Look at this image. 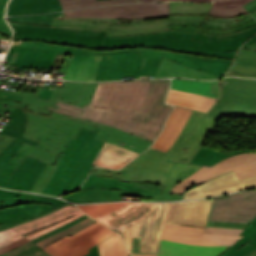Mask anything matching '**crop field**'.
<instances>
[{
	"mask_svg": "<svg viewBox=\"0 0 256 256\" xmlns=\"http://www.w3.org/2000/svg\"><path fill=\"white\" fill-rule=\"evenodd\" d=\"M169 85V79L98 82L90 105L81 108L57 101L45 110L113 126L153 142L173 107L164 104Z\"/></svg>",
	"mask_w": 256,
	"mask_h": 256,
	"instance_id": "crop-field-1",
	"label": "crop field"
},
{
	"mask_svg": "<svg viewBox=\"0 0 256 256\" xmlns=\"http://www.w3.org/2000/svg\"><path fill=\"white\" fill-rule=\"evenodd\" d=\"M57 54L103 55L95 81L155 78L163 57L179 62L189 68L223 77V73L233 61L148 48L101 52L38 41H13L5 62L18 65L20 69H23V67L51 68Z\"/></svg>",
	"mask_w": 256,
	"mask_h": 256,
	"instance_id": "crop-field-2",
	"label": "crop field"
},
{
	"mask_svg": "<svg viewBox=\"0 0 256 256\" xmlns=\"http://www.w3.org/2000/svg\"><path fill=\"white\" fill-rule=\"evenodd\" d=\"M212 199L176 203L129 202L118 210L96 217L98 221L124 233L138 222L140 252L157 253L163 223L205 228Z\"/></svg>",
	"mask_w": 256,
	"mask_h": 256,
	"instance_id": "crop-field-3",
	"label": "crop field"
},
{
	"mask_svg": "<svg viewBox=\"0 0 256 256\" xmlns=\"http://www.w3.org/2000/svg\"><path fill=\"white\" fill-rule=\"evenodd\" d=\"M18 106L25 113L28 124L24 137L39 141V146L26 144L11 159L3 182L5 187L9 177L17 167L30 155L46 163H56L61 152H63L70 138H75L80 127L99 132V127H94L72 121V117L52 112L49 117L24 110V104L12 102L7 105L0 103L3 111L11 113Z\"/></svg>",
	"mask_w": 256,
	"mask_h": 256,
	"instance_id": "crop-field-4",
	"label": "crop field"
},
{
	"mask_svg": "<svg viewBox=\"0 0 256 256\" xmlns=\"http://www.w3.org/2000/svg\"><path fill=\"white\" fill-rule=\"evenodd\" d=\"M97 132L80 129L75 140L70 139L55 173L42 191L43 194L61 196L80 188L94 167L92 162L104 141L94 139Z\"/></svg>",
	"mask_w": 256,
	"mask_h": 256,
	"instance_id": "crop-field-5",
	"label": "crop field"
},
{
	"mask_svg": "<svg viewBox=\"0 0 256 256\" xmlns=\"http://www.w3.org/2000/svg\"><path fill=\"white\" fill-rule=\"evenodd\" d=\"M192 34L167 30V33H154L134 36H105L101 51L149 47L153 49L177 51L205 57H223L233 59L237 51L204 52L198 50L201 42L191 40Z\"/></svg>",
	"mask_w": 256,
	"mask_h": 256,
	"instance_id": "crop-field-6",
	"label": "crop field"
},
{
	"mask_svg": "<svg viewBox=\"0 0 256 256\" xmlns=\"http://www.w3.org/2000/svg\"><path fill=\"white\" fill-rule=\"evenodd\" d=\"M57 198L0 190V223L12 227L51 213L65 205Z\"/></svg>",
	"mask_w": 256,
	"mask_h": 256,
	"instance_id": "crop-field-7",
	"label": "crop field"
},
{
	"mask_svg": "<svg viewBox=\"0 0 256 256\" xmlns=\"http://www.w3.org/2000/svg\"><path fill=\"white\" fill-rule=\"evenodd\" d=\"M221 97L207 116L223 115L256 118V80L225 78L219 81Z\"/></svg>",
	"mask_w": 256,
	"mask_h": 256,
	"instance_id": "crop-field-8",
	"label": "crop field"
},
{
	"mask_svg": "<svg viewBox=\"0 0 256 256\" xmlns=\"http://www.w3.org/2000/svg\"><path fill=\"white\" fill-rule=\"evenodd\" d=\"M168 20L143 22L133 19L123 23L119 19L99 18H54L52 27L107 30L105 35H134L153 32H166Z\"/></svg>",
	"mask_w": 256,
	"mask_h": 256,
	"instance_id": "crop-field-9",
	"label": "crop field"
},
{
	"mask_svg": "<svg viewBox=\"0 0 256 256\" xmlns=\"http://www.w3.org/2000/svg\"><path fill=\"white\" fill-rule=\"evenodd\" d=\"M84 215L77 207L67 205L51 214L0 231V246L15 242L23 237L29 241Z\"/></svg>",
	"mask_w": 256,
	"mask_h": 256,
	"instance_id": "crop-field-10",
	"label": "crop field"
},
{
	"mask_svg": "<svg viewBox=\"0 0 256 256\" xmlns=\"http://www.w3.org/2000/svg\"><path fill=\"white\" fill-rule=\"evenodd\" d=\"M193 111L187 124L168 153L173 154L169 161L189 163L201 147L208 132L218 120Z\"/></svg>",
	"mask_w": 256,
	"mask_h": 256,
	"instance_id": "crop-field-11",
	"label": "crop field"
},
{
	"mask_svg": "<svg viewBox=\"0 0 256 256\" xmlns=\"http://www.w3.org/2000/svg\"><path fill=\"white\" fill-rule=\"evenodd\" d=\"M234 170L238 178L256 175V153H246L230 157L212 167L203 166L197 172L176 185L171 192H185L215 177Z\"/></svg>",
	"mask_w": 256,
	"mask_h": 256,
	"instance_id": "crop-field-12",
	"label": "crop field"
},
{
	"mask_svg": "<svg viewBox=\"0 0 256 256\" xmlns=\"http://www.w3.org/2000/svg\"><path fill=\"white\" fill-rule=\"evenodd\" d=\"M256 217V189L215 199L208 220L250 223Z\"/></svg>",
	"mask_w": 256,
	"mask_h": 256,
	"instance_id": "crop-field-13",
	"label": "crop field"
},
{
	"mask_svg": "<svg viewBox=\"0 0 256 256\" xmlns=\"http://www.w3.org/2000/svg\"><path fill=\"white\" fill-rule=\"evenodd\" d=\"M97 222L42 250L51 256H83L89 253L90 248L115 233Z\"/></svg>",
	"mask_w": 256,
	"mask_h": 256,
	"instance_id": "crop-field-14",
	"label": "crop field"
},
{
	"mask_svg": "<svg viewBox=\"0 0 256 256\" xmlns=\"http://www.w3.org/2000/svg\"><path fill=\"white\" fill-rule=\"evenodd\" d=\"M66 17L150 18L169 14V2L155 4L112 5L64 12Z\"/></svg>",
	"mask_w": 256,
	"mask_h": 256,
	"instance_id": "crop-field-15",
	"label": "crop field"
},
{
	"mask_svg": "<svg viewBox=\"0 0 256 256\" xmlns=\"http://www.w3.org/2000/svg\"><path fill=\"white\" fill-rule=\"evenodd\" d=\"M86 84L87 83L64 81L61 88L54 89L49 101L37 98L41 87L38 88L36 93H14L0 89V102L9 104V102L13 100L15 102L25 103L27 104L26 110H31L36 113H42L49 116L51 112L43 110L45 105L53 107L57 97L78 103Z\"/></svg>",
	"mask_w": 256,
	"mask_h": 256,
	"instance_id": "crop-field-16",
	"label": "crop field"
},
{
	"mask_svg": "<svg viewBox=\"0 0 256 256\" xmlns=\"http://www.w3.org/2000/svg\"><path fill=\"white\" fill-rule=\"evenodd\" d=\"M251 187H256V176L239 180L234 171H232L189 189L185 192L184 199L217 196Z\"/></svg>",
	"mask_w": 256,
	"mask_h": 256,
	"instance_id": "crop-field-17",
	"label": "crop field"
},
{
	"mask_svg": "<svg viewBox=\"0 0 256 256\" xmlns=\"http://www.w3.org/2000/svg\"><path fill=\"white\" fill-rule=\"evenodd\" d=\"M205 229L164 224L161 239L194 245L233 244L242 236L204 234ZM241 239V238H240Z\"/></svg>",
	"mask_w": 256,
	"mask_h": 256,
	"instance_id": "crop-field-18",
	"label": "crop field"
},
{
	"mask_svg": "<svg viewBox=\"0 0 256 256\" xmlns=\"http://www.w3.org/2000/svg\"><path fill=\"white\" fill-rule=\"evenodd\" d=\"M12 119L0 132L1 134L9 135L15 137L9 145L0 153V187L2 186L3 178L7 165L11 157L18 151V149L23 145V142L38 145L37 141L30 140L22 137L24 129L27 124V120L19 108H15L14 111L9 115ZM13 158V157H12Z\"/></svg>",
	"mask_w": 256,
	"mask_h": 256,
	"instance_id": "crop-field-19",
	"label": "crop field"
},
{
	"mask_svg": "<svg viewBox=\"0 0 256 256\" xmlns=\"http://www.w3.org/2000/svg\"><path fill=\"white\" fill-rule=\"evenodd\" d=\"M106 31L52 28L49 42L89 49H101Z\"/></svg>",
	"mask_w": 256,
	"mask_h": 256,
	"instance_id": "crop-field-20",
	"label": "crop field"
},
{
	"mask_svg": "<svg viewBox=\"0 0 256 256\" xmlns=\"http://www.w3.org/2000/svg\"><path fill=\"white\" fill-rule=\"evenodd\" d=\"M255 33L256 27L238 33L224 35H205L196 32L193 39L203 42L200 47L201 50L220 52L238 50Z\"/></svg>",
	"mask_w": 256,
	"mask_h": 256,
	"instance_id": "crop-field-21",
	"label": "crop field"
},
{
	"mask_svg": "<svg viewBox=\"0 0 256 256\" xmlns=\"http://www.w3.org/2000/svg\"><path fill=\"white\" fill-rule=\"evenodd\" d=\"M73 120L102 127L100 132L96 136V139L113 143L115 145L130 149L140 154L151 145V142L145 141L146 139H140L116 128L76 118H74Z\"/></svg>",
	"mask_w": 256,
	"mask_h": 256,
	"instance_id": "crop-field-22",
	"label": "crop field"
},
{
	"mask_svg": "<svg viewBox=\"0 0 256 256\" xmlns=\"http://www.w3.org/2000/svg\"><path fill=\"white\" fill-rule=\"evenodd\" d=\"M46 163L28 156L11 176L6 188L29 192Z\"/></svg>",
	"mask_w": 256,
	"mask_h": 256,
	"instance_id": "crop-field-23",
	"label": "crop field"
},
{
	"mask_svg": "<svg viewBox=\"0 0 256 256\" xmlns=\"http://www.w3.org/2000/svg\"><path fill=\"white\" fill-rule=\"evenodd\" d=\"M190 113L191 110L175 106L174 110L165 122V129L152 145V148L167 152L177 139Z\"/></svg>",
	"mask_w": 256,
	"mask_h": 256,
	"instance_id": "crop-field-24",
	"label": "crop field"
},
{
	"mask_svg": "<svg viewBox=\"0 0 256 256\" xmlns=\"http://www.w3.org/2000/svg\"><path fill=\"white\" fill-rule=\"evenodd\" d=\"M204 18L205 16H169V23H168L167 29L186 32V33H192V34H195L196 31L206 33V34H224V33L242 31L256 25V20H254L243 26L230 28V29L214 30V29L200 28L199 25L202 23Z\"/></svg>",
	"mask_w": 256,
	"mask_h": 256,
	"instance_id": "crop-field-25",
	"label": "crop field"
},
{
	"mask_svg": "<svg viewBox=\"0 0 256 256\" xmlns=\"http://www.w3.org/2000/svg\"><path fill=\"white\" fill-rule=\"evenodd\" d=\"M230 246H194L162 240L158 256H218Z\"/></svg>",
	"mask_w": 256,
	"mask_h": 256,
	"instance_id": "crop-field-26",
	"label": "crop field"
},
{
	"mask_svg": "<svg viewBox=\"0 0 256 256\" xmlns=\"http://www.w3.org/2000/svg\"><path fill=\"white\" fill-rule=\"evenodd\" d=\"M102 56L73 55L63 79L94 81Z\"/></svg>",
	"mask_w": 256,
	"mask_h": 256,
	"instance_id": "crop-field-27",
	"label": "crop field"
},
{
	"mask_svg": "<svg viewBox=\"0 0 256 256\" xmlns=\"http://www.w3.org/2000/svg\"><path fill=\"white\" fill-rule=\"evenodd\" d=\"M170 155L149 149L121 170L169 173L174 163L166 162Z\"/></svg>",
	"mask_w": 256,
	"mask_h": 256,
	"instance_id": "crop-field-28",
	"label": "crop field"
},
{
	"mask_svg": "<svg viewBox=\"0 0 256 256\" xmlns=\"http://www.w3.org/2000/svg\"><path fill=\"white\" fill-rule=\"evenodd\" d=\"M139 154L105 142L92 165L119 169Z\"/></svg>",
	"mask_w": 256,
	"mask_h": 256,
	"instance_id": "crop-field-29",
	"label": "crop field"
},
{
	"mask_svg": "<svg viewBox=\"0 0 256 256\" xmlns=\"http://www.w3.org/2000/svg\"><path fill=\"white\" fill-rule=\"evenodd\" d=\"M90 174L104 176V177H116V178H120V181H129V182L148 181L161 186H164L169 175V174L154 173V172L115 171L111 169H102V168H94Z\"/></svg>",
	"mask_w": 256,
	"mask_h": 256,
	"instance_id": "crop-field-30",
	"label": "crop field"
},
{
	"mask_svg": "<svg viewBox=\"0 0 256 256\" xmlns=\"http://www.w3.org/2000/svg\"><path fill=\"white\" fill-rule=\"evenodd\" d=\"M62 10L59 0H11L7 16Z\"/></svg>",
	"mask_w": 256,
	"mask_h": 256,
	"instance_id": "crop-field-31",
	"label": "crop field"
},
{
	"mask_svg": "<svg viewBox=\"0 0 256 256\" xmlns=\"http://www.w3.org/2000/svg\"><path fill=\"white\" fill-rule=\"evenodd\" d=\"M199 166L186 165L176 163L170 172L169 179L162 191L161 195L154 194L152 201H168L181 199L182 194L180 193H169L170 190L183 179L198 170Z\"/></svg>",
	"mask_w": 256,
	"mask_h": 256,
	"instance_id": "crop-field-32",
	"label": "crop field"
},
{
	"mask_svg": "<svg viewBox=\"0 0 256 256\" xmlns=\"http://www.w3.org/2000/svg\"><path fill=\"white\" fill-rule=\"evenodd\" d=\"M217 99L170 90L167 103L207 112Z\"/></svg>",
	"mask_w": 256,
	"mask_h": 256,
	"instance_id": "crop-field-33",
	"label": "crop field"
},
{
	"mask_svg": "<svg viewBox=\"0 0 256 256\" xmlns=\"http://www.w3.org/2000/svg\"><path fill=\"white\" fill-rule=\"evenodd\" d=\"M164 77H184L196 79H216L220 78L208 73L186 68L174 61L163 58L156 78Z\"/></svg>",
	"mask_w": 256,
	"mask_h": 256,
	"instance_id": "crop-field-34",
	"label": "crop field"
},
{
	"mask_svg": "<svg viewBox=\"0 0 256 256\" xmlns=\"http://www.w3.org/2000/svg\"><path fill=\"white\" fill-rule=\"evenodd\" d=\"M173 89L207 95L218 98V85L217 80L215 81H197V80H186V79H172Z\"/></svg>",
	"mask_w": 256,
	"mask_h": 256,
	"instance_id": "crop-field-35",
	"label": "crop field"
},
{
	"mask_svg": "<svg viewBox=\"0 0 256 256\" xmlns=\"http://www.w3.org/2000/svg\"><path fill=\"white\" fill-rule=\"evenodd\" d=\"M64 199L74 203H90L102 201L121 200L120 191L89 189L63 196Z\"/></svg>",
	"mask_w": 256,
	"mask_h": 256,
	"instance_id": "crop-field-36",
	"label": "crop field"
},
{
	"mask_svg": "<svg viewBox=\"0 0 256 256\" xmlns=\"http://www.w3.org/2000/svg\"><path fill=\"white\" fill-rule=\"evenodd\" d=\"M240 235L244 236L220 256H244L256 249V218Z\"/></svg>",
	"mask_w": 256,
	"mask_h": 256,
	"instance_id": "crop-field-37",
	"label": "crop field"
},
{
	"mask_svg": "<svg viewBox=\"0 0 256 256\" xmlns=\"http://www.w3.org/2000/svg\"><path fill=\"white\" fill-rule=\"evenodd\" d=\"M226 75L256 77V51L241 49L233 68Z\"/></svg>",
	"mask_w": 256,
	"mask_h": 256,
	"instance_id": "crop-field-38",
	"label": "crop field"
},
{
	"mask_svg": "<svg viewBox=\"0 0 256 256\" xmlns=\"http://www.w3.org/2000/svg\"><path fill=\"white\" fill-rule=\"evenodd\" d=\"M15 31L14 40H39L43 42L48 41V36L51 27L40 25H25L9 22Z\"/></svg>",
	"mask_w": 256,
	"mask_h": 256,
	"instance_id": "crop-field-39",
	"label": "crop field"
},
{
	"mask_svg": "<svg viewBox=\"0 0 256 256\" xmlns=\"http://www.w3.org/2000/svg\"><path fill=\"white\" fill-rule=\"evenodd\" d=\"M212 3L170 2L169 15H207Z\"/></svg>",
	"mask_w": 256,
	"mask_h": 256,
	"instance_id": "crop-field-40",
	"label": "crop field"
},
{
	"mask_svg": "<svg viewBox=\"0 0 256 256\" xmlns=\"http://www.w3.org/2000/svg\"><path fill=\"white\" fill-rule=\"evenodd\" d=\"M121 195L152 198L154 193L160 194L163 187L143 183L120 182Z\"/></svg>",
	"mask_w": 256,
	"mask_h": 256,
	"instance_id": "crop-field-41",
	"label": "crop field"
},
{
	"mask_svg": "<svg viewBox=\"0 0 256 256\" xmlns=\"http://www.w3.org/2000/svg\"><path fill=\"white\" fill-rule=\"evenodd\" d=\"M246 152H249V151L248 150L232 151L228 154H225V153H221V152H217L214 150H210V149L201 147L200 150L193 157L191 163L211 166L229 156L242 154V153H246Z\"/></svg>",
	"mask_w": 256,
	"mask_h": 256,
	"instance_id": "crop-field-42",
	"label": "crop field"
},
{
	"mask_svg": "<svg viewBox=\"0 0 256 256\" xmlns=\"http://www.w3.org/2000/svg\"><path fill=\"white\" fill-rule=\"evenodd\" d=\"M252 20H254V18L251 17L249 14L233 17V18H214V17L206 16L204 22L201 24L200 27L215 28V29L229 28V27L243 25Z\"/></svg>",
	"mask_w": 256,
	"mask_h": 256,
	"instance_id": "crop-field-43",
	"label": "crop field"
},
{
	"mask_svg": "<svg viewBox=\"0 0 256 256\" xmlns=\"http://www.w3.org/2000/svg\"><path fill=\"white\" fill-rule=\"evenodd\" d=\"M101 256H128L122 238L116 233L98 244Z\"/></svg>",
	"mask_w": 256,
	"mask_h": 256,
	"instance_id": "crop-field-44",
	"label": "crop field"
},
{
	"mask_svg": "<svg viewBox=\"0 0 256 256\" xmlns=\"http://www.w3.org/2000/svg\"><path fill=\"white\" fill-rule=\"evenodd\" d=\"M60 3L63 9L67 10L109 4L137 3V0H60Z\"/></svg>",
	"mask_w": 256,
	"mask_h": 256,
	"instance_id": "crop-field-45",
	"label": "crop field"
},
{
	"mask_svg": "<svg viewBox=\"0 0 256 256\" xmlns=\"http://www.w3.org/2000/svg\"><path fill=\"white\" fill-rule=\"evenodd\" d=\"M89 188L120 190L119 179L103 178L99 176L89 175V177L86 179L85 183L83 184L80 190L89 189Z\"/></svg>",
	"mask_w": 256,
	"mask_h": 256,
	"instance_id": "crop-field-46",
	"label": "crop field"
},
{
	"mask_svg": "<svg viewBox=\"0 0 256 256\" xmlns=\"http://www.w3.org/2000/svg\"><path fill=\"white\" fill-rule=\"evenodd\" d=\"M127 202H113V203H99V204H90L78 206L81 208L87 215L91 217L99 216L106 212H111Z\"/></svg>",
	"mask_w": 256,
	"mask_h": 256,
	"instance_id": "crop-field-47",
	"label": "crop field"
},
{
	"mask_svg": "<svg viewBox=\"0 0 256 256\" xmlns=\"http://www.w3.org/2000/svg\"><path fill=\"white\" fill-rule=\"evenodd\" d=\"M53 17H65V16H64V13L61 12V13H54V14L7 18V20L11 22H17V23L40 24V25L51 26Z\"/></svg>",
	"mask_w": 256,
	"mask_h": 256,
	"instance_id": "crop-field-48",
	"label": "crop field"
},
{
	"mask_svg": "<svg viewBox=\"0 0 256 256\" xmlns=\"http://www.w3.org/2000/svg\"><path fill=\"white\" fill-rule=\"evenodd\" d=\"M94 222H95L94 220H92L91 218L88 217L87 219L79 222L78 224H76L74 226H71V227H69V228H67V229H65V230H63V231H61V232H59V233H57V234H55L51 237H48V238H46V239H44V240H42L38 243H35V244L38 245L39 248L41 249V248L45 247L46 245H48V244H50V243H52V242H54V241H56V240H58V239H60L64 236H66L67 234L71 235V234L83 229L84 227H86V226H88V225H90Z\"/></svg>",
	"mask_w": 256,
	"mask_h": 256,
	"instance_id": "crop-field-49",
	"label": "crop field"
},
{
	"mask_svg": "<svg viewBox=\"0 0 256 256\" xmlns=\"http://www.w3.org/2000/svg\"><path fill=\"white\" fill-rule=\"evenodd\" d=\"M0 256H50L32 243H27Z\"/></svg>",
	"mask_w": 256,
	"mask_h": 256,
	"instance_id": "crop-field-50",
	"label": "crop field"
},
{
	"mask_svg": "<svg viewBox=\"0 0 256 256\" xmlns=\"http://www.w3.org/2000/svg\"><path fill=\"white\" fill-rule=\"evenodd\" d=\"M62 155L63 154H61V156L59 157V159H58V161H57L55 166L47 164L46 168L44 169V171L42 172L41 176L36 181V183L33 185V187H32L30 192L41 193V191L45 187L46 183L50 179L51 175L55 171V169H56V167H57V165H58Z\"/></svg>",
	"mask_w": 256,
	"mask_h": 256,
	"instance_id": "crop-field-51",
	"label": "crop field"
},
{
	"mask_svg": "<svg viewBox=\"0 0 256 256\" xmlns=\"http://www.w3.org/2000/svg\"><path fill=\"white\" fill-rule=\"evenodd\" d=\"M246 13L247 12L240 6L212 7L208 15L214 16V17H232V16H238Z\"/></svg>",
	"mask_w": 256,
	"mask_h": 256,
	"instance_id": "crop-field-52",
	"label": "crop field"
},
{
	"mask_svg": "<svg viewBox=\"0 0 256 256\" xmlns=\"http://www.w3.org/2000/svg\"><path fill=\"white\" fill-rule=\"evenodd\" d=\"M138 224L130 227L125 233V244L129 251L139 252L140 238H135Z\"/></svg>",
	"mask_w": 256,
	"mask_h": 256,
	"instance_id": "crop-field-53",
	"label": "crop field"
},
{
	"mask_svg": "<svg viewBox=\"0 0 256 256\" xmlns=\"http://www.w3.org/2000/svg\"><path fill=\"white\" fill-rule=\"evenodd\" d=\"M96 83L97 82H92V83H88L87 86H86V89L84 91V94L79 102V104H76V103H72V102H69V101H66V100H63V99H57V100H60V101H64V102H68L70 104H73V105H77V106H81L83 107L85 103H90V99L93 95V92L95 90V87H96ZM98 84V83H97Z\"/></svg>",
	"mask_w": 256,
	"mask_h": 256,
	"instance_id": "crop-field-54",
	"label": "crop field"
},
{
	"mask_svg": "<svg viewBox=\"0 0 256 256\" xmlns=\"http://www.w3.org/2000/svg\"><path fill=\"white\" fill-rule=\"evenodd\" d=\"M7 1L8 0H0V33L11 38L12 37L11 30L3 19L5 5H6Z\"/></svg>",
	"mask_w": 256,
	"mask_h": 256,
	"instance_id": "crop-field-55",
	"label": "crop field"
},
{
	"mask_svg": "<svg viewBox=\"0 0 256 256\" xmlns=\"http://www.w3.org/2000/svg\"><path fill=\"white\" fill-rule=\"evenodd\" d=\"M244 229L209 228L206 233L239 235Z\"/></svg>",
	"mask_w": 256,
	"mask_h": 256,
	"instance_id": "crop-field-56",
	"label": "crop field"
},
{
	"mask_svg": "<svg viewBox=\"0 0 256 256\" xmlns=\"http://www.w3.org/2000/svg\"><path fill=\"white\" fill-rule=\"evenodd\" d=\"M248 224L242 223H228V222H214L208 221L207 226L210 227H229V228H245Z\"/></svg>",
	"mask_w": 256,
	"mask_h": 256,
	"instance_id": "crop-field-57",
	"label": "crop field"
},
{
	"mask_svg": "<svg viewBox=\"0 0 256 256\" xmlns=\"http://www.w3.org/2000/svg\"><path fill=\"white\" fill-rule=\"evenodd\" d=\"M86 217H88V216L84 215V216H82L81 218H79V219H77V220H74V221H72V222H70V223H68V224H65V225H63V226H61V227H59V228H57V229H55V230H53V231H51V232H49V233H47V234L41 236V237H39V238H37V239L31 241V242H32V243L38 242V241H40V240H42V239H44V238H46V237H48V236H51V235H53V234H55V233H57V232H59V231L65 229V228L71 226V225L76 224L77 222L81 221L82 219H84V218H86Z\"/></svg>",
	"mask_w": 256,
	"mask_h": 256,
	"instance_id": "crop-field-58",
	"label": "crop field"
},
{
	"mask_svg": "<svg viewBox=\"0 0 256 256\" xmlns=\"http://www.w3.org/2000/svg\"><path fill=\"white\" fill-rule=\"evenodd\" d=\"M251 0H214L213 6H234V5H245Z\"/></svg>",
	"mask_w": 256,
	"mask_h": 256,
	"instance_id": "crop-field-59",
	"label": "crop field"
},
{
	"mask_svg": "<svg viewBox=\"0 0 256 256\" xmlns=\"http://www.w3.org/2000/svg\"><path fill=\"white\" fill-rule=\"evenodd\" d=\"M26 242H28V240H26L25 238H23V239H21V240L15 242V243H12V244H9V245L0 247V254H1V253H4V252H6V251H9V250H11V249H13V248H16V247H18V246H20V245H22V244H24V243H26Z\"/></svg>",
	"mask_w": 256,
	"mask_h": 256,
	"instance_id": "crop-field-60",
	"label": "crop field"
},
{
	"mask_svg": "<svg viewBox=\"0 0 256 256\" xmlns=\"http://www.w3.org/2000/svg\"><path fill=\"white\" fill-rule=\"evenodd\" d=\"M243 7L256 19V0L251 1Z\"/></svg>",
	"mask_w": 256,
	"mask_h": 256,
	"instance_id": "crop-field-61",
	"label": "crop field"
},
{
	"mask_svg": "<svg viewBox=\"0 0 256 256\" xmlns=\"http://www.w3.org/2000/svg\"><path fill=\"white\" fill-rule=\"evenodd\" d=\"M12 137L0 135V152L7 146V144L12 140Z\"/></svg>",
	"mask_w": 256,
	"mask_h": 256,
	"instance_id": "crop-field-62",
	"label": "crop field"
},
{
	"mask_svg": "<svg viewBox=\"0 0 256 256\" xmlns=\"http://www.w3.org/2000/svg\"><path fill=\"white\" fill-rule=\"evenodd\" d=\"M51 93H52V91H50V90L42 89L38 97L48 100L50 95H51Z\"/></svg>",
	"mask_w": 256,
	"mask_h": 256,
	"instance_id": "crop-field-63",
	"label": "crop field"
},
{
	"mask_svg": "<svg viewBox=\"0 0 256 256\" xmlns=\"http://www.w3.org/2000/svg\"><path fill=\"white\" fill-rule=\"evenodd\" d=\"M85 256H100L97 245L90 249V253Z\"/></svg>",
	"mask_w": 256,
	"mask_h": 256,
	"instance_id": "crop-field-64",
	"label": "crop field"
},
{
	"mask_svg": "<svg viewBox=\"0 0 256 256\" xmlns=\"http://www.w3.org/2000/svg\"><path fill=\"white\" fill-rule=\"evenodd\" d=\"M165 0H139V2H159ZM192 1H212V0H192Z\"/></svg>",
	"mask_w": 256,
	"mask_h": 256,
	"instance_id": "crop-field-65",
	"label": "crop field"
},
{
	"mask_svg": "<svg viewBox=\"0 0 256 256\" xmlns=\"http://www.w3.org/2000/svg\"><path fill=\"white\" fill-rule=\"evenodd\" d=\"M253 42H256V36L253 37V38H251V39H250L246 44H244L243 46L246 47V46L250 45V44L253 43Z\"/></svg>",
	"mask_w": 256,
	"mask_h": 256,
	"instance_id": "crop-field-66",
	"label": "crop field"
},
{
	"mask_svg": "<svg viewBox=\"0 0 256 256\" xmlns=\"http://www.w3.org/2000/svg\"><path fill=\"white\" fill-rule=\"evenodd\" d=\"M133 256H157V255H151V254H137V253H131Z\"/></svg>",
	"mask_w": 256,
	"mask_h": 256,
	"instance_id": "crop-field-67",
	"label": "crop field"
},
{
	"mask_svg": "<svg viewBox=\"0 0 256 256\" xmlns=\"http://www.w3.org/2000/svg\"><path fill=\"white\" fill-rule=\"evenodd\" d=\"M246 48L256 50V43H253V44H251L250 46H248Z\"/></svg>",
	"mask_w": 256,
	"mask_h": 256,
	"instance_id": "crop-field-68",
	"label": "crop field"
},
{
	"mask_svg": "<svg viewBox=\"0 0 256 256\" xmlns=\"http://www.w3.org/2000/svg\"><path fill=\"white\" fill-rule=\"evenodd\" d=\"M7 228H10V227H8L5 223L0 224V230L7 229Z\"/></svg>",
	"mask_w": 256,
	"mask_h": 256,
	"instance_id": "crop-field-69",
	"label": "crop field"
},
{
	"mask_svg": "<svg viewBox=\"0 0 256 256\" xmlns=\"http://www.w3.org/2000/svg\"><path fill=\"white\" fill-rule=\"evenodd\" d=\"M246 256H256V250Z\"/></svg>",
	"mask_w": 256,
	"mask_h": 256,
	"instance_id": "crop-field-70",
	"label": "crop field"
},
{
	"mask_svg": "<svg viewBox=\"0 0 256 256\" xmlns=\"http://www.w3.org/2000/svg\"><path fill=\"white\" fill-rule=\"evenodd\" d=\"M5 50H6V49H0V51H3V52H5Z\"/></svg>",
	"mask_w": 256,
	"mask_h": 256,
	"instance_id": "crop-field-71",
	"label": "crop field"
},
{
	"mask_svg": "<svg viewBox=\"0 0 256 256\" xmlns=\"http://www.w3.org/2000/svg\"><path fill=\"white\" fill-rule=\"evenodd\" d=\"M0 38H5V37H3L2 35H0ZM5 39H7V38H5Z\"/></svg>",
	"mask_w": 256,
	"mask_h": 256,
	"instance_id": "crop-field-72",
	"label": "crop field"
},
{
	"mask_svg": "<svg viewBox=\"0 0 256 256\" xmlns=\"http://www.w3.org/2000/svg\"><path fill=\"white\" fill-rule=\"evenodd\" d=\"M2 110V108H0V111Z\"/></svg>",
	"mask_w": 256,
	"mask_h": 256,
	"instance_id": "crop-field-73",
	"label": "crop field"
}]
</instances>
